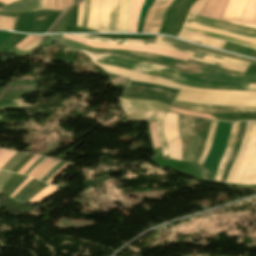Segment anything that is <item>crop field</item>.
<instances>
[{"mask_svg":"<svg viewBox=\"0 0 256 256\" xmlns=\"http://www.w3.org/2000/svg\"><path fill=\"white\" fill-rule=\"evenodd\" d=\"M150 133H151L154 147L159 146L157 135H156V130H155V123H150Z\"/></svg>","mask_w":256,"mask_h":256,"instance_id":"425ffa30","label":"crop field"},{"mask_svg":"<svg viewBox=\"0 0 256 256\" xmlns=\"http://www.w3.org/2000/svg\"><path fill=\"white\" fill-rule=\"evenodd\" d=\"M84 53H86L90 57L91 61H93L95 64H109L113 66H118L135 72L164 78L187 86L218 90L256 91V84L216 82L198 79L170 68L161 67L125 57L110 56L104 54L98 55L88 52Z\"/></svg>","mask_w":256,"mask_h":256,"instance_id":"8a807250","label":"crop field"},{"mask_svg":"<svg viewBox=\"0 0 256 256\" xmlns=\"http://www.w3.org/2000/svg\"><path fill=\"white\" fill-rule=\"evenodd\" d=\"M88 8H89V0H85V10H84L83 26H82L84 28H86L87 26Z\"/></svg>","mask_w":256,"mask_h":256,"instance_id":"89e229c0","label":"crop field"},{"mask_svg":"<svg viewBox=\"0 0 256 256\" xmlns=\"http://www.w3.org/2000/svg\"><path fill=\"white\" fill-rule=\"evenodd\" d=\"M59 188L48 185L46 188H44L41 192H39L37 195H35L29 202L37 203L40 199L48 195L49 193L57 190Z\"/></svg>","mask_w":256,"mask_h":256,"instance_id":"028f5c9d","label":"crop field"},{"mask_svg":"<svg viewBox=\"0 0 256 256\" xmlns=\"http://www.w3.org/2000/svg\"><path fill=\"white\" fill-rule=\"evenodd\" d=\"M18 106H28L21 99L0 101V108L3 107H18Z\"/></svg>","mask_w":256,"mask_h":256,"instance_id":"0bd39190","label":"crop field"},{"mask_svg":"<svg viewBox=\"0 0 256 256\" xmlns=\"http://www.w3.org/2000/svg\"><path fill=\"white\" fill-rule=\"evenodd\" d=\"M14 19L0 17V29L13 31Z\"/></svg>","mask_w":256,"mask_h":256,"instance_id":"c035e120","label":"crop field"},{"mask_svg":"<svg viewBox=\"0 0 256 256\" xmlns=\"http://www.w3.org/2000/svg\"><path fill=\"white\" fill-rule=\"evenodd\" d=\"M128 121H156V130L161 148L167 146L162 123L169 106L152 100L120 98Z\"/></svg>","mask_w":256,"mask_h":256,"instance_id":"ac0d7876","label":"crop field"},{"mask_svg":"<svg viewBox=\"0 0 256 256\" xmlns=\"http://www.w3.org/2000/svg\"><path fill=\"white\" fill-rule=\"evenodd\" d=\"M155 40L169 42V43H172V44L185 46V47H190V48H194V49H199V50H203V51H207V52L227 56V57H230V58L238 59V60L245 61V62H254L253 60H250V59H246V58H243V57H239V56H236V55L228 54V53H225V52H221V51H217V50H213V49H209V48H204V47L188 44V43L178 41V40H175V39H171V38H167V37L156 36Z\"/></svg>","mask_w":256,"mask_h":256,"instance_id":"4a817a6b","label":"crop field"},{"mask_svg":"<svg viewBox=\"0 0 256 256\" xmlns=\"http://www.w3.org/2000/svg\"><path fill=\"white\" fill-rule=\"evenodd\" d=\"M173 0H162L154 18L150 25V29L148 33H158L160 29V25L164 16V13L167 7L172 3Z\"/></svg>","mask_w":256,"mask_h":256,"instance_id":"a9b5d70f","label":"crop field"},{"mask_svg":"<svg viewBox=\"0 0 256 256\" xmlns=\"http://www.w3.org/2000/svg\"><path fill=\"white\" fill-rule=\"evenodd\" d=\"M178 38L192 41L195 43H201L203 45H207V46H211L219 49H221V47L225 43V41H221L218 39H214V38H210V37H206L198 34L183 32V31H180Z\"/></svg>","mask_w":256,"mask_h":256,"instance_id":"733c2abd","label":"crop field"},{"mask_svg":"<svg viewBox=\"0 0 256 256\" xmlns=\"http://www.w3.org/2000/svg\"><path fill=\"white\" fill-rule=\"evenodd\" d=\"M252 123L253 122H247V124H246L245 132H244V135H243V138H242V142H241V145H240L238 156H237V158H236V160H235V162H234V164H233V166H232V168L230 170V173H229V177H228V180H227L228 183H231V178L233 176L235 168H236V166H237V164H238V162L240 160V157L242 155V152L244 150V147H245V144H246V141H247V138H248V135H249Z\"/></svg>","mask_w":256,"mask_h":256,"instance_id":"730fd06b","label":"crop field"},{"mask_svg":"<svg viewBox=\"0 0 256 256\" xmlns=\"http://www.w3.org/2000/svg\"><path fill=\"white\" fill-rule=\"evenodd\" d=\"M216 125H217V122L216 121H212L211 122V126H210V130H209V134H208V137H207V141H206V145H205V149H204V152L199 160L198 163L202 164L204 159L206 158L209 150H210V146H211V143H212V140H213V136H214V132H215V129H216Z\"/></svg>","mask_w":256,"mask_h":256,"instance_id":"d3111659","label":"crop field"},{"mask_svg":"<svg viewBox=\"0 0 256 256\" xmlns=\"http://www.w3.org/2000/svg\"><path fill=\"white\" fill-rule=\"evenodd\" d=\"M39 41H40V40H39ZM39 41H37V42H35V43H33V44L29 45L28 47L24 48V49H23V50H21V51H28V50H30V49H32V48H34V47H36V46H37V44L39 43Z\"/></svg>","mask_w":256,"mask_h":256,"instance_id":"9d1cf04e","label":"crop field"},{"mask_svg":"<svg viewBox=\"0 0 256 256\" xmlns=\"http://www.w3.org/2000/svg\"><path fill=\"white\" fill-rule=\"evenodd\" d=\"M40 38H42V37L27 36L24 40H22L20 43H18L15 47L20 50V49L28 46L29 44L35 42L36 40H38Z\"/></svg>","mask_w":256,"mask_h":256,"instance_id":"03da06ac","label":"crop field"},{"mask_svg":"<svg viewBox=\"0 0 256 256\" xmlns=\"http://www.w3.org/2000/svg\"><path fill=\"white\" fill-rule=\"evenodd\" d=\"M256 176V122L253 123L245 150L236 168L232 183L251 185Z\"/></svg>","mask_w":256,"mask_h":256,"instance_id":"f4fd0767","label":"crop field"},{"mask_svg":"<svg viewBox=\"0 0 256 256\" xmlns=\"http://www.w3.org/2000/svg\"><path fill=\"white\" fill-rule=\"evenodd\" d=\"M11 175H12L11 173L0 171V190H1L2 186L4 185V183L9 179V177Z\"/></svg>","mask_w":256,"mask_h":256,"instance_id":"73cf0c24","label":"crop field"},{"mask_svg":"<svg viewBox=\"0 0 256 256\" xmlns=\"http://www.w3.org/2000/svg\"><path fill=\"white\" fill-rule=\"evenodd\" d=\"M248 0H230L221 20L255 28L256 23L241 19Z\"/></svg>","mask_w":256,"mask_h":256,"instance_id":"22f410ed","label":"crop field"},{"mask_svg":"<svg viewBox=\"0 0 256 256\" xmlns=\"http://www.w3.org/2000/svg\"><path fill=\"white\" fill-rule=\"evenodd\" d=\"M145 0H131L129 16V32L137 33L138 21Z\"/></svg>","mask_w":256,"mask_h":256,"instance_id":"92a150f3","label":"crop field"},{"mask_svg":"<svg viewBox=\"0 0 256 256\" xmlns=\"http://www.w3.org/2000/svg\"><path fill=\"white\" fill-rule=\"evenodd\" d=\"M170 111L180 113V114H185V115H191V116H197V117H202V118H207V119H213L209 115H206V114L184 111V110L173 108V107H171Z\"/></svg>","mask_w":256,"mask_h":256,"instance_id":"c21b1889","label":"crop field"},{"mask_svg":"<svg viewBox=\"0 0 256 256\" xmlns=\"http://www.w3.org/2000/svg\"><path fill=\"white\" fill-rule=\"evenodd\" d=\"M123 77H120V78H116V79H112V82L114 83V84H116V83H119V82H121V81H123Z\"/></svg>","mask_w":256,"mask_h":256,"instance_id":"0765c3eb","label":"crop field"},{"mask_svg":"<svg viewBox=\"0 0 256 256\" xmlns=\"http://www.w3.org/2000/svg\"><path fill=\"white\" fill-rule=\"evenodd\" d=\"M74 36H84V35H74ZM84 38L101 41V42H104V40H105V39H100V38H96V37H92V36H84ZM144 42L145 41H131V44L144 45ZM105 43L117 44V41L106 39ZM118 43L130 44V40H118ZM157 43H158V41L146 40L145 44L156 46ZM157 47L168 49V50H174V51L181 50V51H185V52L196 54V55L198 54V52L209 55V53H205V52L190 49V48L180 47V46H178L177 50H175V48H176L175 45H170V44L161 43V42L158 43ZM200 53L198 54V56L191 55L190 58L199 60V61H203V62H206L209 64H213V65H216V66H219L222 68H226V69H230V70H234V71H240V72H244L248 65V63L240 62V61L233 60L230 58L217 56V55H213V54L208 56V55H204V54H200Z\"/></svg>","mask_w":256,"mask_h":256,"instance_id":"34b2d1b8","label":"crop field"},{"mask_svg":"<svg viewBox=\"0 0 256 256\" xmlns=\"http://www.w3.org/2000/svg\"><path fill=\"white\" fill-rule=\"evenodd\" d=\"M102 67L104 70H106L109 73H113L120 76L128 77L132 81L137 82H145V83H154L159 84L165 87L174 88V89H183V90H189V91H201V92H213V93H224V94H245V95H256V92H245V91H218V90H204V89H198V88H192V87H185L180 84H176L167 80H163L160 78L147 76L135 72H131L125 69H121L118 67H112L109 65H98Z\"/></svg>","mask_w":256,"mask_h":256,"instance_id":"e52e79f7","label":"crop field"},{"mask_svg":"<svg viewBox=\"0 0 256 256\" xmlns=\"http://www.w3.org/2000/svg\"><path fill=\"white\" fill-rule=\"evenodd\" d=\"M64 38L73 40L75 42L83 43L86 44L90 47L94 48H107V49H119V50H132V51H144V52H150L154 54H159V55H164L168 57H173V58H178L186 61L189 58V54H184V53H178V52H173V51H168L164 49H159L155 47H143V46H123V45H104V44H99L93 41H88L84 39H80L74 36L70 35H64Z\"/></svg>","mask_w":256,"mask_h":256,"instance_id":"5a996713","label":"crop field"},{"mask_svg":"<svg viewBox=\"0 0 256 256\" xmlns=\"http://www.w3.org/2000/svg\"><path fill=\"white\" fill-rule=\"evenodd\" d=\"M192 138V141H191V148H190V151H189V155H188V159L187 160H190L192 161L193 160V156H194V153H195V149H196V145H197V142H198V138L197 136H191Z\"/></svg>","mask_w":256,"mask_h":256,"instance_id":"5d738f31","label":"crop field"},{"mask_svg":"<svg viewBox=\"0 0 256 256\" xmlns=\"http://www.w3.org/2000/svg\"><path fill=\"white\" fill-rule=\"evenodd\" d=\"M209 125H210V121L197 124L194 127H192L191 129H189L190 135L200 136L196 154H195V158L193 160L195 162H198V160L203 152Z\"/></svg>","mask_w":256,"mask_h":256,"instance_id":"5142ce71","label":"crop field"},{"mask_svg":"<svg viewBox=\"0 0 256 256\" xmlns=\"http://www.w3.org/2000/svg\"><path fill=\"white\" fill-rule=\"evenodd\" d=\"M253 184H256V178H255V180H254Z\"/></svg>","mask_w":256,"mask_h":256,"instance_id":"0f1d7ab4","label":"crop field"},{"mask_svg":"<svg viewBox=\"0 0 256 256\" xmlns=\"http://www.w3.org/2000/svg\"><path fill=\"white\" fill-rule=\"evenodd\" d=\"M26 155L27 153H17L9 160V162L2 168V170L11 171L18 164V162Z\"/></svg>","mask_w":256,"mask_h":256,"instance_id":"5866460e","label":"crop field"},{"mask_svg":"<svg viewBox=\"0 0 256 256\" xmlns=\"http://www.w3.org/2000/svg\"><path fill=\"white\" fill-rule=\"evenodd\" d=\"M182 30L183 31H188V32H193V33L207 35V36H210V37L218 38V39H221V40H225V41H228V42H232V43H236V44H239V45H242V46H246V47H249V48L256 49L255 45L246 44V43H243V42H241L239 40L232 39V38H229V37H225V36H221V35H216V34H211V33H206V32H201V31H196V30H191V29H185V28H182Z\"/></svg>","mask_w":256,"mask_h":256,"instance_id":"ae1a2a85","label":"crop field"},{"mask_svg":"<svg viewBox=\"0 0 256 256\" xmlns=\"http://www.w3.org/2000/svg\"><path fill=\"white\" fill-rule=\"evenodd\" d=\"M173 107L192 110V111L206 113V114L244 113V112L256 113V108L208 106V105H198V104L178 102V101L174 102Z\"/></svg>","mask_w":256,"mask_h":256,"instance_id":"d1516ede","label":"crop field"},{"mask_svg":"<svg viewBox=\"0 0 256 256\" xmlns=\"http://www.w3.org/2000/svg\"><path fill=\"white\" fill-rule=\"evenodd\" d=\"M52 159L47 158V160L31 175V177L35 178L38 173L46 166L48 165ZM47 167V166H46Z\"/></svg>","mask_w":256,"mask_h":256,"instance_id":"dbb93151","label":"crop field"},{"mask_svg":"<svg viewBox=\"0 0 256 256\" xmlns=\"http://www.w3.org/2000/svg\"><path fill=\"white\" fill-rule=\"evenodd\" d=\"M256 22V21H255Z\"/></svg>","mask_w":256,"mask_h":256,"instance_id":"d14b1444","label":"crop field"},{"mask_svg":"<svg viewBox=\"0 0 256 256\" xmlns=\"http://www.w3.org/2000/svg\"><path fill=\"white\" fill-rule=\"evenodd\" d=\"M45 159H46V157H44V158L42 159V161L28 174V176H30V175L38 168V166H39Z\"/></svg>","mask_w":256,"mask_h":256,"instance_id":"db79e9e6","label":"crop field"},{"mask_svg":"<svg viewBox=\"0 0 256 256\" xmlns=\"http://www.w3.org/2000/svg\"><path fill=\"white\" fill-rule=\"evenodd\" d=\"M36 157V155H34V157L18 172L19 174H21V172L23 171V169L32 162V160Z\"/></svg>","mask_w":256,"mask_h":256,"instance_id":"7b73153f","label":"crop field"},{"mask_svg":"<svg viewBox=\"0 0 256 256\" xmlns=\"http://www.w3.org/2000/svg\"><path fill=\"white\" fill-rule=\"evenodd\" d=\"M83 3H84V1H82L81 3H79V9H78V21H77V26H79V27H81V23H82Z\"/></svg>","mask_w":256,"mask_h":256,"instance_id":"1f2cbd36","label":"crop field"},{"mask_svg":"<svg viewBox=\"0 0 256 256\" xmlns=\"http://www.w3.org/2000/svg\"><path fill=\"white\" fill-rule=\"evenodd\" d=\"M176 100L201 104L256 107V96H239L180 91Z\"/></svg>","mask_w":256,"mask_h":256,"instance_id":"412701ff","label":"crop field"},{"mask_svg":"<svg viewBox=\"0 0 256 256\" xmlns=\"http://www.w3.org/2000/svg\"><path fill=\"white\" fill-rule=\"evenodd\" d=\"M45 0H19L15 3L0 8L5 12H30L43 9ZM72 5V0H46L45 9L66 10Z\"/></svg>","mask_w":256,"mask_h":256,"instance_id":"d8731c3e","label":"crop field"},{"mask_svg":"<svg viewBox=\"0 0 256 256\" xmlns=\"http://www.w3.org/2000/svg\"><path fill=\"white\" fill-rule=\"evenodd\" d=\"M168 148L169 158L181 160V143L179 138L169 144Z\"/></svg>","mask_w":256,"mask_h":256,"instance_id":"750c4746","label":"crop field"},{"mask_svg":"<svg viewBox=\"0 0 256 256\" xmlns=\"http://www.w3.org/2000/svg\"><path fill=\"white\" fill-rule=\"evenodd\" d=\"M178 91L157 85L128 81L122 97L159 100L171 106Z\"/></svg>","mask_w":256,"mask_h":256,"instance_id":"dd49c442","label":"crop field"},{"mask_svg":"<svg viewBox=\"0 0 256 256\" xmlns=\"http://www.w3.org/2000/svg\"><path fill=\"white\" fill-rule=\"evenodd\" d=\"M184 22L207 26V27L215 28L221 31L256 39V30L228 24L221 21H216V20L203 18V17H197V16L188 14Z\"/></svg>","mask_w":256,"mask_h":256,"instance_id":"3316defc","label":"crop field"},{"mask_svg":"<svg viewBox=\"0 0 256 256\" xmlns=\"http://www.w3.org/2000/svg\"><path fill=\"white\" fill-rule=\"evenodd\" d=\"M130 0H120L118 32L128 33V16Z\"/></svg>","mask_w":256,"mask_h":256,"instance_id":"dafd665d","label":"crop field"},{"mask_svg":"<svg viewBox=\"0 0 256 256\" xmlns=\"http://www.w3.org/2000/svg\"><path fill=\"white\" fill-rule=\"evenodd\" d=\"M39 158H40V156L36 157V158L34 159V161H33L29 166H27V167L24 169V171L22 172V174H24V173L26 172V170H27L33 163H35Z\"/></svg>","mask_w":256,"mask_h":256,"instance_id":"447ae74e","label":"crop field"},{"mask_svg":"<svg viewBox=\"0 0 256 256\" xmlns=\"http://www.w3.org/2000/svg\"><path fill=\"white\" fill-rule=\"evenodd\" d=\"M176 114L167 113L163 123V129L167 143H170L179 136Z\"/></svg>","mask_w":256,"mask_h":256,"instance_id":"214f88e0","label":"crop field"},{"mask_svg":"<svg viewBox=\"0 0 256 256\" xmlns=\"http://www.w3.org/2000/svg\"><path fill=\"white\" fill-rule=\"evenodd\" d=\"M46 186V184L40 183L33 179L17 193L14 199H18L20 202H28L35 194Z\"/></svg>","mask_w":256,"mask_h":256,"instance_id":"bc2a9ffb","label":"crop field"},{"mask_svg":"<svg viewBox=\"0 0 256 256\" xmlns=\"http://www.w3.org/2000/svg\"><path fill=\"white\" fill-rule=\"evenodd\" d=\"M59 161L53 160L47 167H45L41 173L36 177V179L40 180L44 175H46Z\"/></svg>","mask_w":256,"mask_h":256,"instance_id":"d23c7cc5","label":"crop field"},{"mask_svg":"<svg viewBox=\"0 0 256 256\" xmlns=\"http://www.w3.org/2000/svg\"><path fill=\"white\" fill-rule=\"evenodd\" d=\"M33 155L28 154L26 157H24L20 163L12 170V172L17 173L31 158Z\"/></svg>","mask_w":256,"mask_h":256,"instance_id":"25e5ab78","label":"crop field"},{"mask_svg":"<svg viewBox=\"0 0 256 256\" xmlns=\"http://www.w3.org/2000/svg\"><path fill=\"white\" fill-rule=\"evenodd\" d=\"M162 152H163V156L168 155V149H167V147H166L165 149H163Z\"/></svg>","mask_w":256,"mask_h":256,"instance_id":"78b8030e","label":"crop field"},{"mask_svg":"<svg viewBox=\"0 0 256 256\" xmlns=\"http://www.w3.org/2000/svg\"><path fill=\"white\" fill-rule=\"evenodd\" d=\"M253 64H256V63H253Z\"/></svg>","mask_w":256,"mask_h":256,"instance_id":"ae633e8c","label":"crop field"},{"mask_svg":"<svg viewBox=\"0 0 256 256\" xmlns=\"http://www.w3.org/2000/svg\"><path fill=\"white\" fill-rule=\"evenodd\" d=\"M183 26L188 27V28H192V29H196V30H201V31H206V32L217 33V34L229 36V37L236 38V39H239V40H242V41H245V42L256 45V40H254V39H249V38H245V37H241V36L221 32V31H218V30H215V29L202 27V26L191 25V24H186V23H184Z\"/></svg>","mask_w":256,"mask_h":256,"instance_id":"4177f3b9","label":"crop field"},{"mask_svg":"<svg viewBox=\"0 0 256 256\" xmlns=\"http://www.w3.org/2000/svg\"><path fill=\"white\" fill-rule=\"evenodd\" d=\"M238 125H239V122L232 124L228 144H227V147L225 149L224 155H223V157H222V159H221V161L218 165L215 181L220 182L223 169H224V167H225V165L228 161V158L231 154V151L233 149V145H234L236 134H237Z\"/></svg>","mask_w":256,"mask_h":256,"instance_id":"cbeb9de0","label":"crop field"},{"mask_svg":"<svg viewBox=\"0 0 256 256\" xmlns=\"http://www.w3.org/2000/svg\"><path fill=\"white\" fill-rule=\"evenodd\" d=\"M242 18L253 21V22L255 21V19H256V0L249 1Z\"/></svg>","mask_w":256,"mask_h":256,"instance_id":"bd1437ed","label":"crop field"},{"mask_svg":"<svg viewBox=\"0 0 256 256\" xmlns=\"http://www.w3.org/2000/svg\"><path fill=\"white\" fill-rule=\"evenodd\" d=\"M208 0H198L191 7L189 13L199 15Z\"/></svg>","mask_w":256,"mask_h":256,"instance_id":"e1f06a70","label":"crop field"},{"mask_svg":"<svg viewBox=\"0 0 256 256\" xmlns=\"http://www.w3.org/2000/svg\"><path fill=\"white\" fill-rule=\"evenodd\" d=\"M100 6L101 0H90L89 19L87 28L98 31Z\"/></svg>","mask_w":256,"mask_h":256,"instance_id":"00972430","label":"crop field"},{"mask_svg":"<svg viewBox=\"0 0 256 256\" xmlns=\"http://www.w3.org/2000/svg\"><path fill=\"white\" fill-rule=\"evenodd\" d=\"M229 0H209L201 16L220 20Z\"/></svg>","mask_w":256,"mask_h":256,"instance_id":"d9b57169","label":"crop field"},{"mask_svg":"<svg viewBox=\"0 0 256 256\" xmlns=\"http://www.w3.org/2000/svg\"><path fill=\"white\" fill-rule=\"evenodd\" d=\"M195 124V118H186L179 115V130L180 134Z\"/></svg>","mask_w":256,"mask_h":256,"instance_id":"120bbe31","label":"crop field"},{"mask_svg":"<svg viewBox=\"0 0 256 256\" xmlns=\"http://www.w3.org/2000/svg\"><path fill=\"white\" fill-rule=\"evenodd\" d=\"M69 164L65 163L53 176L50 180H48L45 183H49L51 180H53L58 174H60L66 167H68Z\"/></svg>","mask_w":256,"mask_h":256,"instance_id":"0fb4a251","label":"crop field"},{"mask_svg":"<svg viewBox=\"0 0 256 256\" xmlns=\"http://www.w3.org/2000/svg\"><path fill=\"white\" fill-rule=\"evenodd\" d=\"M3 88H0V92H2Z\"/></svg>","mask_w":256,"mask_h":256,"instance_id":"e1d0b9f6","label":"crop field"},{"mask_svg":"<svg viewBox=\"0 0 256 256\" xmlns=\"http://www.w3.org/2000/svg\"><path fill=\"white\" fill-rule=\"evenodd\" d=\"M22 176L21 175H16V174H13L11 176V178L8 180V182L3 186L2 190H1V193H5L7 194L8 191L11 189V187L13 186V184L15 182H17Z\"/></svg>","mask_w":256,"mask_h":256,"instance_id":"b80d0937","label":"crop field"},{"mask_svg":"<svg viewBox=\"0 0 256 256\" xmlns=\"http://www.w3.org/2000/svg\"><path fill=\"white\" fill-rule=\"evenodd\" d=\"M32 178L28 177L16 190L15 192L10 196L13 197L22 187H24Z\"/></svg>","mask_w":256,"mask_h":256,"instance_id":"1d79db26","label":"crop field"},{"mask_svg":"<svg viewBox=\"0 0 256 256\" xmlns=\"http://www.w3.org/2000/svg\"><path fill=\"white\" fill-rule=\"evenodd\" d=\"M182 141V160L186 161L187 154L190 148V139L188 131L181 136Z\"/></svg>","mask_w":256,"mask_h":256,"instance_id":"d32e631a","label":"crop field"},{"mask_svg":"<svg viewBox=\"0 0 256 256\" xmlns=\"http://www.w3.org/2000/svg\"><path fill=\"white\" fill-rule=\"evenodd\" d=\"M119 0H102L100 32L117 33Z\"/></svg>","mask_w":256,"mask_h":256,"instance_id":"28ad6ade","label":"crop field"},{"mask_svg":"<svg viewBox=\"0 0 256 256\" xmlns=\"http://www.w3.org/2000/svg\"><path fill=\"white\" fill-rule=\"evenodd\" d=\"M15 152L5 151L0 149V169L13 156Z\"/></svg>","mask_w":256,"mask_h":256,"instance_id":"b54c1fbb","label":"crop field"},{"mask_svg":"<svg viewBox=\"0 0 256 256\" xmlns=\"http://www.w3.org/2000/svg\"><path fill=\"white\" fill-rule=\"evenodd\" d=\"M223 50L256 58V51L226 42Z\"/></svg>","mask_w":256,"mask_h":256,"instance_id":"eef30255","label":"crop field"},{"mask_svg":"<svg viewBox=\"0 0 256 256\" xmlns=\"http://www.w3.org/2000/svg\"><path fill=\"white\" fill-rule=\"evenodd\" d=\"M161 0H155L154 4L152 5V7L150 8L147 17L145 19V23H144V27H143V31L142 33H147L148 32V28H149V24L153 18V15L157 9V7L159 6Z\"/></svg>","mask_w":256,"mask_h":256,"instance_id":"1d83c4d3","label":"crop field"}]
</instances>
